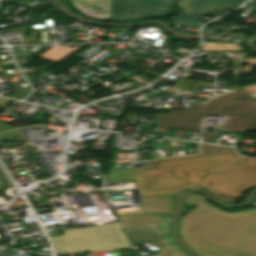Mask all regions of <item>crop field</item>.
Returning a JSON list of instances; mask_svg holds the SVG:
<instances>
[{"mask_svg":"<svg viewBox=\"0 0 256 256\" xmlns=\"http://www.w3.org/2000/svg\"><path fill=\"white\" fill-rule=\"evenodd\" d=\"M135 171L140 196L202 187L235 204L248 186H256V177L245 173L233 148L205 144L198 155L152 160Z\"/></svg>","mask_w":256,"mask_h":256,"instance_id":"crop-field-1","label":"crop field"},{"mask_svg":"<svg viewBox=\"0 0 256 256\" xmlns=\"http://www.w3.org/2000/svg\"><path fill=\"white\" fill-rule=\"evenodd\" d=\"M196 206L183 216L179 231L186 243L204 256H256V209L227 213L203 196H188Z\"/></svg>","mask_w":256,"mask_h":256,"instance_id":"crop-field-2","label":"crop field"},{"mask_svg":"<svg viewBox=\"0 0 256 256\" xmlns=\"http://www.w3.org/2000/svg\"><path fill=\"white\" fill-rule=\"evenodd\" d=\"M207 115L228 116L220 129L256 130V84L214 97L204 105H193V111L179 110L156 118V126L196 130Z\"/></svg>","mask_w":256,"mask_h":256,"instance_id":"crop-field-3","label":"crop field"},{"mask_svg":"<svg viewBox=\"0 0 256 256\" xmlns=\"http://www.w3.org/2000/svg\"><path fill=\"white\" fill-rule=\"evenodd\" d=\"M64 236L53 237L57 255L89 251L90 253L130 245L117 223L62 231Z\"/></svg>","mask_w":256,"mask_h":256,"instance_id":"crop-field-4","label":"crop field"},{"mask_svg":"<svg viewBox=\"0 0 256 256\" xmlns=\"http://www.w3.org/2000/svg\"><path fill=\"white\" fill-rule=\"evenodd\" d=\"M182 193L140 197L142 209L117 211L121 229L170 222L175 201Z\"/></svg>","mask_w":256,"mask_h":256,"instance_id":"crop-field-5","label":"crop field"},{"mask_svg":"<svg viewBox=\"0 0 256 256\" xmlns=\"http://www.w3.org/2000/svg\"><path fill=\"white\" fill-rule=\"evenodd\" d=\"M177 0H112L111 20L152 18L173 11Z\"/></svg>","mask_w":256,"mask_h":256,"instance_id":"crop-field-6","label":"crop field"},{"mask_svg":"<svg viewBox=\"0 0 256 256\" xmlns=\"http://www.w3.org/2000/svg\"><path fill=\"white\" fill-rule=\"evenodd\" d=\"M245 0H179L180 14L172 18V24L191 28L203 16L217 10H233L235 4Z\"/></svg>","mask_w":256,"mask_h":256,"instance_id":"crop-field-7","label":"crop field"},{"mask_svg":"<svg viewBox=\"0 0 256 256\" xmlns=\"http://www.w3.org/2000/svg\"><path fill=\"white\" fill-rule=\"evenodd\" d=\"M123 232L131 245L154 241L162 252V254L156 256H184L168 245L167 239L162 234L158 224L124 229Z\"/></svg>","mask_w":256,"mask_h":256,"instance_id":"crop-field-8","label":"crop field"},{"mask_svg":"<svg viewBox=\"0 0 256 256\" xmlns=\"http://www.w3.org/2000/svg\"><path fill=\"white\" fill-rule=\"evenodd\" d=\"M83 14L99 20H110L111 0H71Z\"/></svg>","mask_w":256,"mask_h":256,"instance_id":"crop-field-9","label":"crop field"},{"mask_svg":"<svg viewBox=\"0 0 256 256\" xmlns=\"http://www.w3.org/2000/svg\"><path fill=\"white\" fill-rule=\"evenodd\" d=\"M79 48L80 47L56 48L41 58L56 63Z\"/></svg>","mask_w":256,"mask_h":256,"instance_id":"crop-field-10","label":"crop field"},{"mask_svg":"<svg viewBox=\"0 0 256 256\" xmlns=\"http://www.w3.org/2000/svg\"><path fill=\"white\" fill-rule=\"evenodd\" d=\"M203 51H238L239 45L227 44V43H205Z\"/></svg>","mask_w":256,"mask_h":256,"instance_id":"crop-field-11","label":"crop field"},{"mask_svg":"<svg viewBox=\"0 0 256 256\" xmlns=\"http://www.w3.org/2000/svg\"><path fill=\"white\" fill-rule=\"evenodd\" d=\"M245 171L256 176V159L239 157Z\"/></svg>","mask_w":256,"mask_h":256,"instance_id":"crop-field-12","label":"crop field"},{"mask_svg":"<svg viewBox=\"0 0 256 256\" xmlns=\"http://www.w3.org/2000/svg\"><path fill=\"white\" fill-rule=\"evenodd\" d=\"M202 142L216 143V130L213 133L202 132Z\"/></svg>","mask_w":256,"mask_h":256,"instance_id":"crop-field-13","label":"crop field"},{"mask_svg":"<svg viewBox=\"0 0 256 256\" xmlns=\"http://www.w3.org/2000/svg\"><path fill=\"white\" fill-rule=\"evenodd\" d=\"M249 63H256V59L253 58H247L242 60L241 64H249Z\"/></svg>","mask_w":256,"mask_h":256,"instance_id":"crop-field-14","label":"crop field"},{"mask_svg":"<svg viewBox=\"0 0 256 256\" xmlns=\"http://www.w3.org/2000/svg\"><path fill=\"white\" fill-rule=\"evenodd\" d=\"M245 7L251 8L256 10V0H253L252 2H250L248 5H246Z\"/></svg>","mask_w":256,"mask_h":256,"instance_id":"crop-field-15","label":"crop field"},{"mask_svg":"<svg viewBox=\"0 0 256 256\" xmlns=\"http://www.w3.org/2000/svg\"><path fill=\"white\" fill-rule=\"evenodd\" d=\"M120 256H140L136 251L130 252L129 254L126 255H120Z\"/></svg>","mask_w":256,"mask_h":256,"instance_id":"crop-field-16","label":"crop field"},{"mask_svg":"<svg viewBox=\"0 0 256 256\" xmlns=\"http://www.w3.org/2000/svg\"><path fill=\"white\" fill-rule=\"evenodd\" d=\"M251 204L256 205V197L253 199V201L251 202Z\"/></svg>","mask_w":256,"mask_h":256,"instance_id":"crop-field-17","label":"crop field"}]
</instances>
